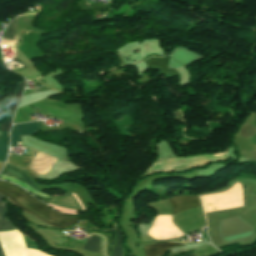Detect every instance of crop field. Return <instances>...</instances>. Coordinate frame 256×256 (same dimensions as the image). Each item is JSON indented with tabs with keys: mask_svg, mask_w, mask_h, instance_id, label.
<instances>
[{
	"mask_svg": "<svg viewBox=\"0 0 256 256\" xmlns=\"http://www.w3.org/2000/svg\"><path fill=\"white\" fill-rule=\"evenodd\" d=\"M0 193L8 196L13 205L22 208L24 212L51 227L65 229L80 219L57 214L17 185L0 181Z\"/></svg>",
	"mask_w": 256,
	"mask_h": 256,
	"instance_id": "crop-field-1",
	"label": "crop field"
},
{
	"mask_svg": "<svg viewBox=\"0 0 256 256\" xmlns=\"http://www.w3.org/2000/svg\"><path fill=\"white\" fill-rule=\"evenodd\" d=\"M39 130H40L39 122L13 126L12 136H11V147H16L17 143L21 142V135L36 134Z\"/></svg>",
	"mask_w": 256,
	"mask_h": 256,
	"instance_id": "crop-field-2",
	"label": "crop field"
},
{
	"mask_svg": "<svg viewBox=\"0 0 256 256\" xmlns=\"http://www.w3.org/2000/svg\"><path fill=\"white\" fill-rule=\"evenodd\" d=\"M172 203L173 214L185 211L187 209L200 207L198 196L179 197L174 196L168 199Z\"/></svg>",
	"mask_w": 256,
	"mask_h": 256,
	"instance_id": "crop-field-3",
	"label": "crop field"
},
{
	"mask_svg": "<svg viewBox=\"0 0 256 256\" xmlns=\"http://www.w3.org/2000/svg\"><path fill=\"white\" fill-rule=\"evenodd\" d=\"M184 243V242H182ZM183 245L181 243H171V242H164V243H156L149 246H145L144 251L146 256H162L164 255V251L168 248Z\"/></svg>",
	"mask_w": 256,
	"mask_h": 256,
	"instance_id": "crop-field-4",
	"label": "crop field"
},
{
	"mask_svg": "<svg viewBox=\"0 0 256 256\" xmlns=\"http://www.w3.org/2000/svg\"><path fill=\"white\" fill-rule=\"evenodd\" d=\"M19 19H15L12 24L8 27L7 31L5 32L3 38H2V45H14L17 43V33H18V27L17 22Z\"/></svg>",
	"mask_w": 256,
	"mask_h": 256,
	"instance_id": "crop-field-5",
	"label": "crop field"
},
{
	"mask_svg": "<svg viewBox=\"0 0 256 256\" xmlns=\"http://www.w3.org/2000/svg\"><path fill=\"white\" fill-rule=\"evenodd\" d=\"M16 104L17 102L12 97H9L4 107L9 111L10 115L14 110ZM11 119L12 117L10 116V118L6 122L0 124V131H9Z\"/></svg>",
	"mask_w": 256,
	"mask_h": 256,
	"instance_id": "crop-field-6",
	"label": "crop field"
},
{
	"mask_svg": "<svg viewBox=\"0 0 256 256\" xmlns=\"http://www.w3.org/2000/svg\"><path fill=\"white\" fill-rule=\"evenodd\" d=\"M4 198L5 196L0 195V231L14 229L4 217L5 202L2 200Z\"/></svg>",
	"mask_w": 256,
	"mask_h": 256,
	"instance_id": "crop-field-7",
	"label": "crop field"
},
{
	"mask_svg": "<svg viewBox=\"0 0 256 256\" xmlns=\"http://www.w3.org/2000/svg\"><path fill=\"white\" fill-rule=\"evenodd\" d=\"M6 150H7V132H1V135H0V161H4L6 159Z\"/></svg>",
	"mask_w": 256,
	"mask_h": 256,
	"instance_id": "crop-field-8",
	"label": "crop field"
},
{
	"mask_svg": "<svg viewBox=\"0 0 256 256\" xmlns=\"http://www.w3.org/2000/svg\"><path fill=\"white\" fill-rule=\"evenodd\" d=\"M99 243H100V239L92 236L91 240L87 241L84 249L99 252Z\"/></svg>",
	"mask_w": 256,
	"mask_h": 256,
	"instance_id": "crop-field-9",
	"label": "crop field"
},
{
	"mask_svg": "<svg viewBox=\"0 0 256 256\" xmlns=\"http://www.w3.org/2000/svg\"><path fill=\"white\" fill-rule=\"evenodd\" d=\"M115 231L117 233V243H116V246H115V249H114V252H113V256H121L122 249H121V246H120V242L122 240V235H121V232L118 229V227L115 228Z\"/></svg>",
	"mask_w": 256,
	"mask_h": 256,
	"instance_id": "crop-field-10",
	"label": "crop field"
},
{
	"mask_svg": "<svg viewBox=\"0 0 256 256\" xmlns=\"http://www.w3.org/2000/svg\"><path fill=\"white\" fill-rule=\"evenodd\" d=\"M24 82H20V83H17L18 85V91L15 95V99L18 101L19 97H20V94H21V89H22V85H23Z\"/></svg>",
	"mask_w": 256,
	"mask_h": 256,
	"instance_id": "crop-field-11",
	"label": "crop field"
},
{
	"mask_svg": "<svg viewBox=\"0 0 256 256\" xmlns=\"http://www.w3.org/2000/svg\"><path fill=\"white\" fill-rule=\"evenodd\" d=\"M0 256H6L2 247L1 240H0Z\"/></svg>",
	"mask_w": 256,
	"mask_h": 256,
	"instance_id": "crop-field-12",
	"label": "crop field"
},
{
	"mask_svg": "<svg viewBox=\"0 0 256 256\" xmlns=\"http://www.w3.org/2000/svg\"><path fill=\"white\" fill-rule=\"evenodd\" d=\"M183 256H195V254H194V252H192V253H189V254H186V255H183Z\"/></svg>",
	"mask_w": 256,
	"mask_h": 256,
	"instance_id": "crop-field-13",
	"label": "crop field"
}]
</instances>
